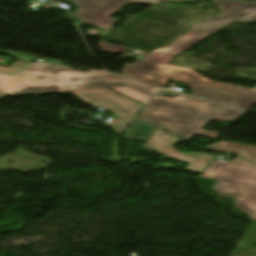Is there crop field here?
<instances>
[{"label": "crop field", "instance_id": "3316defc", "mask_svg": "<svg viewBox=\"0 0 256 256\" xmlns=\"http://www.w3.org/2000/svg\"><path fill=\"white\" fill-rule=\"evenodd\" d=\"M73 15L78 18V22L76 24H78L79 26L82 25L83 23L92 24L93 26H96V27L102 29L103 35H108L110 32H112V24L113 23H109L106 21H102V20L95 19V18H92L89 16L78 14V13H75Z\"/></svg>", "mask_w": 256, "mask_h": 256}, {"label": "crop field", "instance_id": "d1516ede", "mask_svg": "<svg viewBox=\"0 0 256 256\" xmlns=\"http://www.w3.org/2000/svg\"><path fill=\"white\" fill-rule=\"evenodd\" d=\"M29 65H30V63L19 61L17 63H13L9 68L0 67V73L16 74V73L22 71L24 68H26Z\"/></svg>", "mask_w": 256, "mask_h": 256}, {"label": "crop field", "instance_id": "8a807250", "mask_svg": "<svg viewBox=\"0 0 256 256\" xmlns=\"http://www.w3.org/2000/svg\"><path fill=\"white\" fill-rule=\"evenodd\" d=\"M119 86H128L149 96L159 90L116 75L97 71L80 72L46 64H35L15 77L0 75V95L7 96Z\"/></svg>", "mask_w": 256, "mask_h": 256}, {"label": "crop field", "instance_id": "ac0d7876", "mask_svg": "<svg viewBox=\"0 0 256 256\" xmlns=\"http://www.w3.org/2000/svg\"><path fill=\"white\" fill-rule=\"evenodd\" d=\"M244 113L245 111L180 94L173 99L153 98L140 119L190 140L193 135L215 138L216 132L201 130L207 121H229Z\"/></svg>", "mask_w": 256, "mask_h": 256}, {"label": "crop field", "instance_id": "e52e79f7", "mask_svg": "<svg viewBox=\"0 0 256 256\" xmlns=\"http://www.w3.org/2000/svg\"><path fill=\"white\" fill-rule=\"evenodd\" d=\"M182 141L184 140L157 128L145 145L166 157L189 163L185 168L186 171L202 174L216 156L203 153H182L173 148L174 144Z\"/></svg>", "mask_w": 256, "mask_h": 256}, {"label": "crop field", "instance_id": "5a996713", "mask_svg": "<svg viewBox=\"0 0 256 256\" xmlns=\"http://www.w3.org/2000/svg\"><path fill=\"white\" fill-rule=\"evenodd\" d=\"M155 129L156 127H153L139 119H136V121L133 123V125L130 127L124 137L139 140L145 143Z\"/></svg>", "mask_w": 256, "mask_h": 256}, {"label": "crop field", "instance_id": "34b2d1b8", "mask_svg": "<svg viewBox=\"0 0 256 256\" xmlns=\"http://www.w3.org/2000/svg\"><path fill=\"white\" fill-rule=\"evenodd\" d=\"M208 149L239 154L256 163V147L219 142ZM218 180L213 192L238 199L234 206L256 220V166L235 157L232 162L213 161L200 176Z\"/></svg>", "mask_w": 256, "mask_h": 256}, {"label": "crop field", "instance_id": "d8731c3e", "mask_svg": "<svg viewBox=\"0 0 256 256\" xmlns=\"http://www.w3.org/2000/svg\"><path fill=\"white\" fill-rule=\"evenodd\" d=\"M81 7L78 13L93 16L110 22H117L109 18L111 13L119 11L125 4H157L152 0H71Z\"/></svg>", "mask_w": 256, "mask_h": 256}, {"label": "crop field", "instance_id": "28ad6ade", "mask_svg": "<svg viewBox=\"0 0 256 256\" xmlns=\"http://www.w3.org/2000/svg\"><path fill=\"white\" fill-rule=\"evenodd\" d=\"M111 89L118 91V92H120L136 101L144 103V104H146L147 100L150 98L149 96L141 94L139 92H136L128 87L111 88Z\"/></svg>", "mask_w": 256, "mask_h": 256}, {"label": "crop field", "instance_id": "dd49c442", "mask_svg": "<svg viewBox=\"0 0 256 256\" xmlns=\"http://www.w3.org/2000/svg\"><path fill=\"white\" fill-rule=\"evenodd\" d=\"M88 104L105 108L114 114L110 123L114 131L122 133L142 109L143 105L125 98L109 89L71 92Z\"/></svg>", "mask_w": 256, "mask_h": 256}, {"label": "crop field", "instance_id": "412701ff", "mask_svg": "<svg viewBox=\"0 0 256 256\" xmlns=\"http://www.w3.org/2000/svg\"><path fill=\"white\" fill-rule=\"evenodd\" d=\"M122 73L162 87L165 86L168 78L176 79L190 84L194 96L242 109H248L250 104H256V91L212 82L183 68L137 60L134 65L126 64Z\"/></svg>", "mask_w": 256, "mask_h": 256}, {"label": "crop field", "instance_id": "f4fd0767", "mask_svg": "<svg viewBox=\"0 0 256 256\" xmlns=\"http://www.w3.org/2000/svg\"><path fill=\"white\" fill-rule=\"evenodd\" d=\"M212 1L221 7L223 13L220 16L208 18L193 25V30L178 38L172 44L157 49L150 54L172 58L233 22L247 23L256 21V2Z\"/></svg>", "mask_w": 256, "mask_h": 256}, {"label": "crop field", "instance_id": "22f410ed", "mask_svg": "<svg viewBox=\"0 0 256 256\" xmlns=\"http://www.w3.org/2000/svg\"><path fill=\"white\" fill-rule=\"evenodd\" d=\"M3 98H5V97H1V96H0V100L3 99Z\"/></svg>", "mask_w": 256, "mask_h": 256}]
</instances>
